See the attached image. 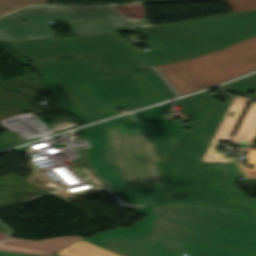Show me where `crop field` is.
<instances>
[{
	"mask_svg": "<svg viewBox=\"0 0 256 256\" xmlns=\"http://www.w3.org/2000/svg\"><path fill=\"white\" fill-rule=\"evenodd\" d=\"M130 229L84 239L122 256H256V215L209 204L151 202Z\"/></svg>",
	"mask_w": 256,
	"mask_h": 256,
	"instance_id": "8a807250",
	"label": "crop field"
},
{
	"mask_svg": "<svg viewBox=\"0 0 256 256\" xmlns=\"http://www.w3.org/2000/svg\"><path fill=\"white\" fill-rule=\"evenodd\" d=\"M168 104L154 108L160 160L166 159L184 125L168 122L160 115L165 112Z\"/></svg>",
	"mask_w": 256,
	"mask_h": 256,
	"instance_id": "28ad6ade",
	"label": "crop field"
},
{
	"mask_svg": "<svg viewBox=\"0 0 256 256\" xmlns=\"http://www.w3.org/2000/svg\"><path fill=\"white\" fill-rule=\"evenodd\" d=\"M170 65L193 91L226 81L256 69V36Z\"/></svg>",
	"mask_w": 256,
	"mask_h": 256,
	"instance_id": "d8731c3e",
	"label": "crop field"
},
{
	"mask_svg": "<svg viewBox=\"0 0 256 256\" xmlns=\"http://www.w3.org/2000/svg\"><path fill=\"white\" fill-rule=\"evenodd\" d=\"M246 144H254L256 140V103L251 101L231 143L236 144L240 141Z\"/></svg>",
	"mask_w": 256,
	"mask_h": 256,
	"instance_id": "d1516ede",
	"label": "crop field"
},
{
	"mask_svg": "<svg viewBox=\"0 0 256 256\" xmlns=\"http://www.w3.org/2000/svg\"><path fill=\"white\" fill-rule=\"evenodd\" d=\"M51 256H58V255L53 254V255H51Z\"/></svg>",
	"mask_w": 256,
	"mask_h": 256,
	"instance_id": "dafd665d",
	"label": "crop field"
},
{
	"mask_svg": "<svg viewBox=\"0 0 256 256\" xmlns=\"http://www.w3.org/2000/svg\"><path fill=\"white\" fill-rule=\"evenodd\" d=\"M2 43L32 63L57 57L90 56L106 74L148 68L117 31Z\"/></svg>",
	"mask_w": 256,
	"mask_h": 256,
	"instance_id": "e52e79f7",
	"label": "crop field"
},
{
	"mask_svg": "<svg viewBox=\"0 0 256 256\" xmlns=\"http://www.w3.org/2000/svg\"><path fill=\"white\" fill-rule=\"evenodd\" d=\"M34 66L54 95L86 123L117 115L115 106L137 109L176 96L152 69L105 77L90 58Z\"/></svg>",
	"mask_w": 256,
	"mask_h": 256,
	"instance_id": "412701ff",
	"label": "crop field"
},
{
	"mask_svg": "<svg viewBox=\"0 0 256 256\" xmlns=\"http://www.w3.org/2000/svg\"><path fill=\"white\" fill-rule=\"evenodd\" d=\"M83 237L65 236L53 239H45L41 241H33L26 239L11 238L4 242H0V250L17 252L32 255L49 256L68 245L80 240ZM0 256H30L22 254H13L0 252Z\"/></svg>",
	"mask_w": 256,
	"mask_h": 256,
	"instance_id": "5a996713",
	"label": "crop field"
},
{
	"mask_svg": "<svg viewBox=\"0 0 256 256\" xmlns=\"http://www.w3.org/2000/svg\"><path fill=\"white\" fill-rule=\"evenodd\" d=\"M134 49L139 54V56L143 59V61L147 64V66L150 67L149 63L146 61V59L141 54L140 49L139 48H134Z\"/></svg>",
	"mask_w": 256,
	"mask_h": 256,
	"instance_id": "214f88e0",
	"label": "crop field"
},
{
	"mask_svg": "<svg viewBox=\"0 0 256 256\" xmlns=\"http://www.w3.org/2000/svg\"><path fill=\"white\" fill-rule=\"evenodd\" d=\"M50 0H0V14L32 3H47Z\"/></svg>",
	"mask_w": 256,
	"mask_h": 256,
	"instance_id": "d9b57169",
	"label": "crop field"
},
{
	"mask_svg": "<svg viewBox=\"0 0 256 256\" xmlns=\"http://www.w3.org/2000/svg\"><path fill=\"white\" fill-rule=\"evenodd\" d=\"M233 12L255 9L256 0H225Z\"/></svg>",
	"mask_w": 256,
	"mask_h": 256,
	"instance_id": "4a817a6b",
	"label": "crop field"
},
{
	"mask_svg": "<svg viewBox=\"0 0 256 256\" xmlns=\"http://www.w3.org/2000/svg\"><path fill=\"white\" fill-rule=\"evenodd\" d=\"M221 89L240 92L243 94L252 92L256 90V74L223 85L221 86Z\"/></svg>",
	"mask_w": 256,
	"mask_h": 256,
	"instance_id": "5142ce71",
	"label": "crop field"
},
{
	"mask_svg": "<svg viewBox=\"0 0 256 256\" xmlns=\"http://www.w3.org/2000/svg\"><path fill=\"white\" fill-rule=\"evenodd\" d=\"M56 254L61 256H120L84 240H80Z\"/></svg>",
	"mask_w": 256,
	"mask_h": 256,
	"instance_id": "22f410ed",
	"label": "crop field"
},
{
	"mask_svg": "<svg viewBox=\"0 0 256 256\" xmlns=\"http://www.w3.org/2000/svg\"><path fill=\"white\" fill-rule=\"evenodd\" d=\"M22 20L28 23L24 24ZM48 20L65 21L71 27L73 34L150 25L146 20L128 19L110 4L33 5L0 17V41L63 36L54 33L46 22Z\"/></svg>",
	"mask_w": 256,
	"mask_h": 256,
	"instance_id": "dd49c442",
	"label": "crop field"
},
{
	"mask_svg": "<svg viewBox=\"0 0 256 256\" xmlns=\"http://www.w3.org/2000/svg\"><path fill=\"white\" fill-rule=\"evenodd\" d=\"M16 137L17 136L15 134L9 131L0 134V149L24 142L21 139L17 140Z\"/></svg>",
	"mask_w": 256,
	"mask_h": 256,
	"instance_id": "bc2a9ffb",
	"label": "crop field"
},
{
	"mask_svg": "<svg viewBox=\"0 0 256 256\" xmlns=\"http://www.w3.org/2000/svg\"><path fill=\"white\" fill-rule=\"evenodd\" d=\"M246 150H248L246 163H255L254 170L245 167L240 161H237V164L247 178H256V148H246Z\"/></svg>",
	"mask_w": 256,
	"mask_h": 256,
	"instance_id": "733c2abd",
	"label": "crop field"
},
{
	"mask_svg": "<svg viewBox=\"0 0 256 256\" xmlns=\"http://www.w3.org/2000/svg\"><path fill=\"white\" fill-rule=\"evenodd\" d=\"M124 31L145 37L151 47L145 54L156 66L219 50L256 35V9Z\"/></svg>",
	"mask_w": 256,
	"mask_h": 256,
	"instance_id": "f4fd0767",
	"label": "crop field"
},
{
	"mask_svg": "<svg viewBox=\"0 0 256 256\" xmlns=\"http://www.w3.org/2000/svg\"><path fill=\"white\" fill-rule=\"evenodd\" d=\"M215 101L205 91L182 102L193 117L171 157L162 162L166 194L157 201L207 202L256 213V198L247 197L234 185L241 175L234 163L200 162L232 97ZM185 127V128H186Z\"/></svg>",
	"mask_w": 256,
	"mask_h": 256,
	"instance_id": "ac0d7876",
	"label": "crop field"
},
{
	"mask_svg": "<svg viewBox=\"0 0 256 256\" xmlns=\"http://www.w3.org/2000/svg\"><path fill=\"white\" fill-rule=\"evenodd\" d=\"M249 100L234 95L202 161L233 162L235 158L225 157L224 153H217L216 147L219 140L229 141L240 117L242 116ZM233 115L229 117V113Z\"/></svg>",
	"mask_w": 256,
	"mask_h": 256,
	"instance_id": "3316defc",
	"label": "crop field"
},
{
	"mask_svg": "<svg viewBox=\"0 0 256 256\" xmlns=\"http://www.w3.org/2000/svg\"><path fill=\"white\" fill-rule=\"evenodd\" d=\"M84 138L89 162L127 204L162 194L153 108L87 127Z\"/></svg>",
	"mask_w": 256,
	"mask_h": 256,
	"instance_id": "34b2d1b8",
	"label": "crop field"
},
{
	"mask_svg": "<svg viewBox=\"0 0 256 256\" xmlns=\"http://www.w3.org/2000/svg\"><path fill=\"white\" fill-rule=\"evenodd\" d=\"M244 96H247V97H251V98H254L256 99V91L252 92V93H249V94H246Z\"/></svg>",
	"mask_w": 256,
	"mask_h": 256,
	"instance_id": "92a150f3",
	"label": "crop field"
},
{
	"mask_svg": "<svg viewBox=\"0 0 256 256\" xmlns=\"http://www.w3.org/2000/svg\"><path fill=\"white\" fill-rule=\"evenodd\" d=\"M155 68L171 84L179 95L192 92L189 86L180 78L169 64L156 66Z\"/></svg>",
	"mask_w": 256,
	"mask_h": 256,
	"instance_id": "cbeb9de0",
	"label": "crop field"
}]
</instances>
